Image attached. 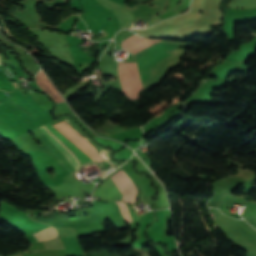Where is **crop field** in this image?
<instances>
[{"mask_svg": "<svg viewBox=\"0 0 256 256\" xmlns=\"http://www.w3.org/2000/svg\"><path fill=\"white\" fill-rule=\"evenodd\" d=\"M57 138H59L81 161V163L85 162H97L103 160V158L98 154L96 148L86 139L84 138L78 131L72 128L63 120L54 124L56 128H58L64 135H66L70 140H68L62 133H60L54 126L50 123L45 125ZM45 126L39 127L38 129L70 160V162L75 166L76 169L82 165L76 156L59 140L57 139Z\"/></svg>", "mask_w": 256, "mask_h": 256, "instance_id": "8a807250", "label": "crop field"}, {"mask_svg": "<svg viewBox=\"0 0 256 256\" xmlns=\"http://www.w3.org/2000/svg\"><path fill=\"white\" fill-rule=\"evenodd\" d=\"M97 3L104 6L115 17L119 28H128L129 25L137 18L127 8L113 3L109 0H96Z\"/></svg>", "mask_w": 256, "mask_h": 256, "instance_id": "ac0d7876", "label": "crop field"}, {"mask_svg": "<svg viewBox=\"0 0 256 256\" xmlns=\"http://www.w3.org/2000/svg\"><path fill=\"white\" fill-rule=\"evenodd\" d=\"M118 181L120 182L122 188L124 189L129 202L130 203H134L136 200V196H137V188L135 187V185L133 184L132 180L127 176V174L124 172V170H120L118 173L115 174ZM115 175L112 178V180L115 182V184L117 185V187L119 188L120 192L122 193L124 199L126 202H128L127 197L123 191V189L121 188L119 182L117 181ZM128 202V203H129Z\"/></svg>", "mask_w": 256, "mask_h": 256, "instance_id": "34b2d1b8", "label": "crop field"}, {"mask_svg": "<svg viewBox=\"0 0 256 256\" xmlns=\"http://www.w3.org/2000/svg\"><path fill=\"white\" fill-rule=\"evenodd\" d=\"M37 84L46 91L56 102L64 101L60 93L54 88L49 79L44 74L43 70H40L39 74L36 76Z\"/></svg>", "mask_w": 256, "mask_h": 256, "instance_id": "412701ff", "label": "crop field"}, {"mask_svg": "<svg viewBox=\"0 0 256 256\" xmlns=\"http://www.w3.org/2000/svg\"><path fill=\"white\" fill-rule=\"evenodd\" d=\"M33 235L37 241L50 240L54 237H57V231L53 227H49L42 231L36 232Z\"/></svg>", "mask_w": 256, "mask_h": 256, "instance_id": "f4fd0767", "label": "crop field"}, {"mask_svg": "<svg viewBox=\"0 0 256 256\" xmlns=\"http://www.w3.org/2000/svg\"><path fill=\"white\" fill-rule=\"evenodd\" d=\"M6 71L8 72L10 78H13V77H14V75H13V73L11 72L10 68L5 69V72H6Z\"/></svg>", "mask_w": 256, "mask_h": 256, "instance_id": "dd49c442", "label": "crop field"}, {"mask_svg": "<svg viewBox=\"0 0 256 256\" xmlns=\"http://www.w3.org/2000/svg\"><path fill=\"white\" fill-rule=\"evenodd\" d=\"M13 85H14V87H18V85L16 84V82H13Z\"/></svg>", "mask_w": 256, "mask_h": 256, "instance_id": "e52e79f7", "label": "crop field"}, {"mask_svg": "<svg viewBox=\"0 0 256 256\" xmlns=\"http://www.w3.org/2000/svg\"><path fill=\"white\" fill-rule=\"evenodd\" d=\"M28 92H29L30 94L34 93V92H32L31 90H28Z\"/></svg>", "mask_w": 256, "mask_h": 256, "instance_id": "d8731c3e", "label": "crop field"}, {"mask_svg": "<svg viewBox=\"0 0 256 256\" xmlns=\"http://www.w3.org/2000/svg\"><path fill=\"white\" fill-rule=\"evenodd\" d=\"M0 64H1V62H0Z\"/></svg>", "mask_w": 256, "mask_h": 256, "instance_id": "5a996713", "label": "crop field"}]
</instances>
